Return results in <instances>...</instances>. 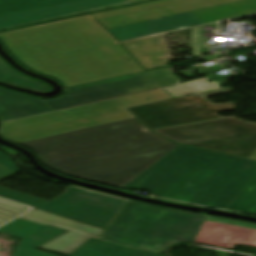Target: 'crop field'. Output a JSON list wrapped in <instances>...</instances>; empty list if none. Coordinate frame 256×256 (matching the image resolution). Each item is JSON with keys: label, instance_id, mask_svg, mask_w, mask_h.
Masks as SVG:
<instances>
[{"label": "crop field", "instance_id": "obj_20", "mask_svg": "<svg viewBox=\"0 0 256 256\" xmlns=\"http://www.w3.org/2000/svg\"><path fill=\"white\" fill-rule=\"evenodd\" d=\"M19 172L13 159L7 154L0 152V181Z\"/></svg>", "mask_w": 256, "mask_h": 256}, {"label": "crop field", "instance_id": "obj_4", "mask_svg": "<svg viewBox=\"0 0 256 256\" xmlns=\"http://www.w3.org/2000/svg\"><path fill=\"white\" fill-rule=\"evenodd\" d=\"M207 216L128 201L100 240L159 252L180 242H193Z\"/></svg>", "mask_w": 256, "mask_h": 256}, {"label": "crop field", "instance_id": "obj_3", "mask_svg": "<svg viewBox=\"0 0 256 256\" xmlns=\"http://www.w3.org/2000/svg\"><path fill=\"white\" fill-rule=\"evenodd\" d=\"M256 173V161L180 145L124 189L227 209Z\"/></svg>", "mask_w": 256, "mask_h": 256}, {"label": "crop field", "instance_id": "obj_24", "mask_svg": "<svg viewBox=\"0 0 256 256\" xmlns=\"http://www.w3.org/2000/svg\"><path fill=\"white\" fill-rule=\"evenodd\" d=\"M0 80H1V81H5V82H8V83L15 84V85L22 86V85L17 84V83H15V82L11 81V80H8V79H6V78H4V77H2V76H0ZM22 87H24V86H22ZM29 89H32V90H35V91H49L50 88H29Z\"/></svg>", "mask_w": 256, "mask_h": 256}, {"label": "crop field", "instance_id": "obj_26", "mask_svg": "<svg viewBox=\"0 0 256 256\" xmlns=\"http://www.w3.org/2000/svg\"><path fill=\"white\" fill-rule=\"evenodd\" d=\"M249 158L256 160V150L253 152V154Z\"/></svg>", "mask_w": 256, "mask_h": 256}, {"label": "crop field", "instance_id": "obj_25", "mask_svg": "<svg viewBox=\"0 0 256 256\" xmlns=\"http://www.w3.org/2000/svg\"><path fill=\"white\" fill-rule=\"evenodd\" d=\"M220 57H222V55L218 54V55L204 57L203 59H204V61H208V60L217 59V58H220Z\"/></svg>", "mask_w": 256, "mask_h": 256}, {"label": "crop field", "instance_id": "obj_16", "mask_svg": "<svg viewBox=\"0 0 256 256\" xmlns=\"http://www.w3.org/2000/svg\"><path fill=\"white\" fill-rule=\"evenodd\" d=\"M89 238L79 236L73 233H66L46 244L42 247L43 249H49L57 251L63 254L70 255L77 248H79L83 243H85Z\"/></svg>", "mask_w": 256, "mask_h": 256}, {"label": "crop field", "instance_id": "obj_1", "mask_svg": "<svg viewBox=\"0 0 256 256\" xmlns=\"http://www.w3.org/2000/svg\"><path fill=\"white\" fill-rule=\"evenodd\" d=\"M234 1L238 0H156L0 33V39L23 65L67 88L142 71L95 19L150 69L169 60L166 31L203 24L190 11Z\"/></svg>", "mask_w": 256, "mask_h": 256}, {"label": "crop field", "instance_id": "obj_8", "mask_svg": "<svg viewBox=\"0 0 256 256\" xmlns=\"http://www.w3.org/2000/svg\"><path fill=\"white\" fill-rule=\"evenodd\" d=\"M0 196L104 229L127 201L72 185L49 202L3 187H0Z\"/></svg>", "mask_w": 256, "mask_h": 256}, {"label": "crop field", "instance_id": "obj_15", "mask_svg": "<svg viewBox=\"0 0 256 256\" xmlns=\"http://www.w3.org/2000/svg\"><path fill=\"white\" fill-rule=\"evenodd\" d=\"M228 209L256 214V174Z\"/></svg>", "mask_w": 256, "mask_h": 256}, {"label": "crop field", "instance_id": "obj_6", "mask_svg": "<svg viewBox=\"0 0 256 256\" xmlns=\"http://www.w3.org/2000/svg\"><path fill=\"white\" fill-rule=\"evenodd\" d=\"M206 78L184 82L183 84L164 88L174 97L200 92L227 85L226 80L208 83ZM162 89L142 92L138 94L119 97L91 105L75 107L63 111L50 112L43 115L27 117L4 122L0 134H8L50 124L60 123L68 120L82 118L90 115L104 113L121 108H128L140 104L170 98Z\"/></svg>", "mask_w": 256, "mask_h": 256}, {"label": "crop field", "instance_id": "obj_18", "mask_svg": "<svg viewBox=\"0 0 256 256\" xmlns=\"http://www.w3.org/2000/svg\"><path fill=\"white\" fill-rule=\"evenodd\" d=\"M27 210L28 208L21 205L0 200V224L12 219L13 217Z\"/></svg>", "mask_w": 256, "mask_h": 256}, {"label": "crop field", "instance_id": "obj_22", "mask_svg": "<svg viewBox=\"0 0 256 256\" xmlns=\"http://www.w3.org/2000/svg\"><path fill=\"white\" fill-rule=\"evenodd\" d=\"M15 250L16 251L13 254V256H53V255L46 254L41 251L34 250L19 244H17Z\"/></svg>", "mask_w": 256, "mask_h": 256}, {"label": "crop field", "instance_id": "obj_9", "mask_svg": "<svg viewBox=\"0 0 256 256\" xmlns=\"http://www.w3.org/2000/svg\"><path fill=\"white\" fill-rule=\"evenodd\" d=\"M229 91L232 90L217 88L128 110L149 129L220 118L216 113L235 110L234 102L213 104L204 97Z\"/></svg>", "mask_w": 256, "mask_h": 256}, {"label": "crop field", "instance_id": "obj_19", "mask_svg": "<svg viewBox=\"0 0 256 256\" xmlns=\"http://www.w3.org/2000/svg\"><path fill=\"white\" fill-rule=\"evenodd\" d=\"M0 75L11 79L17 83H20L26 87H48L42 83L33 81L31 79L25 78L14 71H12L8 66H6L1 60H0Z\"/></svg>", "mask_w": 256, "mask_h": 256}, {"label": "crop field", "instance_id": "obj_14", "mask_svg": "<svg viewBox=\"0 0 256 256\" xmlns=\"http://www.w3.org/2000/svg\"><path fill=\"white\" fill-rule=\"evenodd\" d=\"M71 256H163L103 243L90 239Z\"/></svg>", "mask_w": 256, "mask_h": 256}, {"label": "crop field", "instance_id": "obj_11", "mask_svg": "<svg viewBox=\"0 0 256 256\" xmlns=\"http://www.w3.org/2000/svg\"><path fill=\"white\" fill-rule=\"evenodd\" d=\"M194 242L229 249L235 243L256 247V224L208 216Z\"/></svg>", "mask_w": 256, "mask_h": 256}, {"label": "crop field", "instance_id": "obj_2", "mask_svg": "<svg viewBox=\"0 0 256 256\" xmlns=\"http://www.w3.org/2000/svg\"><path fill=\"white\" fill-rule=\"evenodd\" d=\"M20 144L56 171L119 188L179 146L135 118Z\"/></svg>", "mask_w": 256, "mask_h": 256}, {"label": "crop field", "instance_id": "obj_12", "mask_svg": "<svg viewBox=\"0 0 256 256\" xmlns=\"http://www.w3.org/2000/svg\"><path fill=\"white\" fill-rule=\"evenodd\" d=\"M133 116L125 109L99 114L91 117L77 119L69 122L27 130L23 132L4 135V137L16 142H24L36 138L71 132L75 130L90 128L118 120L132 118Z\"/></svg>", "mask_w": 256, "mask_h": 256}, {"label": "crop field", "instance_id": "obj_23", "mask_svg": "<svg viewBox=\"0 0 256 256\" xmlns=\"http://www.w3.org/2000/svg\"><path fill=\"white\" fill-rule=\"evenodd\" d=\"M20 219H24V220H28V221H32V222H36V223H40V224H44V225H50V226H54V227H57V228H60V229H64V230H67V231H70V232H73V233H76V234H80V235H83V236H86V237H92V238H95L97 239V237H93V236H90V235H87V234H83V233H80V232H77V231H73V230H70V229H66V228H63V227H60V226H56V225H53V224H50V223H46V222H42V221H38V220H34V219H30V218H26V217H20Z\"/></svg>", "mask_w": 256, "mask_h": 256}, {"label": "crop field", "instance_id": "obj_17", "mask_svg": "<svg viewBox=\"0 0 256 256\" xmlns=\"http://www.w3.org/2000/svg\"><path fill=\"white\" fill-rule=\"evenodd\" d=\"M26 216H30V217H34V218H38V219H42V220H46V221H50V222H54V223H58V224H62L74 229H78L84 232H88L94 235H98L100 236V234L103 232V229H99L93 226H89L83 223H79L76 221H72L66 218H62L41 210H34L31 213L27 214Z\"/></svg>", "mask_w": 256, "mask_h": 256}, {"label": "crop field", "instance_id": "obj_10", "mask_svg": "<svg viewBox=\"0 0 256 256\" xmlns=\"http://www.w3.org/2000/svg\"><path fill=\"white\" fill-rule=\"evenodd\" d=\"M140 0H0V29Z\"/></svg>", "mask_w": 256, "mask_h": 256}, {"label": "crop field", "instance_id": "obj_21", "mask_svg": "<svg viewBox=\"0 0 256 256\" xmlns=\"http://www.w3.org/2000/svg\"><path fill=\"white\" fill-rule=\"evenodd\" d=\"M208 26H212L215 28L218 25L216 23V24H212V25H208ZM203 27H206V26L192 29L191 48H192L194 56L202 55V48H210V47L202 46L201 38H202V34H203V30H202Z\"/></svg>", "mask_w": 256, "mask_h": 256}, {"label": "crop field", "instance_id": "obj_5", "mask_svg": "<svg viewBox=\"0 0 256 256\" xmlns=\"http://www.w3.org/2000/svg\"><path fill=\"white\" fill-rule=\"evenodd\" d=\"M171 70L161 68L92 82L66 89L64 96L54 100H36L0 89L2 122L47 113L53 110L122 96L180 82Z\"/></svg>", "mask_w": 256, "mask_h": 256}, {"label": "crop field", "instance_id": "obj_7", "mask_svg": "<svg viewBox=\"0 0 256 256\" xmlns=\"http://www.w3.org/2000/svg\"><path fill=\"white\" fill-rule=\"evenodd\" d=\"M154 132L181 144L246 158L256 149V124L235 119L203 122Z\"/></svg>", "mask_w": 256, "mask_h": 256}, {"label": "crop field", "instance_id": "obj_13", "mask_svg": "<svg viewBox=\"0 0 256 256\" xmlns=\"http://www.w3.org/2000/svg\"><path fill=\"white\" fill-rule=\"evenodd\" d=\"M0 232L21 237L19 244L36 249L67 231L18 219L0 228Z\"/></svg>", "mask_w": 256, "mask_h": 256}]
</instances>
